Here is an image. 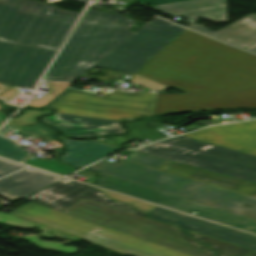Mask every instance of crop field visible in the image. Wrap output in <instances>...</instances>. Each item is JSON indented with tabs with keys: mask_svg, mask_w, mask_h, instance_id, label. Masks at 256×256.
<instances>
[{
	"mask_svg": "<svg viewBox=\"0 0 256 256\" xmlns=\"http://www.w3.org/2000/svg\"><path fill=\"white\" fill-rule=\"evenodd\" d=\"M170 16L188 18V28L223 40L225 42L246 47L256 42V14L253 13L217 32L207 30L204 25L193 22L199 17L222 22L227 21L226 0H191L179 3L157 5L150 7Z\"/></svg>",
	"mask_w": 256,
	"mask_h": 256,
	"instance_id": "obj_7",
	"label": "crop field"
},
{
	"mask_svg": "<svg viewBox=\"0 0 256 256\" xmlns=\"http://www.w3.org/2000/svg\"><path fill=\"white\" fill-rule=\"evenodd\" d=\"M57 137L66 147L65 154L60 160L75 167H84L120 149L94 141H71L61 135Z\"/></svg>",
	"mask_w": 256,
	"mask_h": 256,
	"instance_id": "obj_19",
	"label": "crop field"
},
{
	"mask_svg": "<svg viewBox=\"0 0 256 256\" xmlns=\"http://www.w3.org/2000/svg\"><path fill=\"white\" fill-rule=\"evenodd\" d=\"M94 141H98V142H102V143L109 144V145H112V146L120 147V146H118L117 144H115L110 138H107V139H98V140H94ZM120 148H121V147H120Z\"/></svg>",
	"mask_w": 256,
	"mask_h": 256,
	"instance_id": "obj_35",
	"label": "crop field"
},
{
	"mask_svg": "<svg viewBox=\"0 0 256 256\" xmlns=\"http://www.w3.org/2000/svg\"><path fill=\"white\" fill-rule=\"evenodd\" d=\"M137 75L187 94H157L154 114L256 108V55L187 30Z\"/></svg>",
	"mask_w": 256,
	"mask_h": 256,
	"instance_id": "obj_1",
	"label": "crop field"
},
{
	"mask_svg": "<svg viewBox=\"0 0 256 256\" xmlns=\"http://www.w3.org/2000/svg\"><path fill=\"white\" fill-rule=\"evenodd\" d=\"M25 164L32 165L38 168H42L48 171H52L61 175H68L76 169L60 163L56 160L37 159L32 157L31 159L24 162Z\"/></svg>",
	"mask_w": 256,
	"mask_h": 256,
	"instance_id": "obj_25",
	"label": "crop field"
},
{
	"mask_svg": "<svg viewBox=\"0 0 256 256\" xmlns=\"http://www.w3.org/2000/svg\"><path fill=\"white\" fill-rule=\"evenodd\" d=\"M158 169L256 197V184L166 161Z\"/></svg>",
	"mask_w": 256,
	"mask_h": 256,
	"instance_id": "obj_18",
	"label": "crop field"
},
{
	"mask_svg": "<svg viewBox=\"0 0 256 256\" xmlns=\"http://www.w3.org/2000/svg\"><path fill=\"white\" fill-rule=\"evenodd\" d=\"M62 178L27 168L0 179V196L14 202Z\"/></svg>",
	"mask_w": 256,
	"mask_h": 256,
	"instance_id": "obj_17",
	"label": "crop field"
},
{
	"mask_svg": "<svg viewBox=\"0 0 256 256\" xmlns=\"http://www.w3.org/2000/svg\"><path fill=\"white\" fill-rule=\"evenodd\" d=\"M96 186L171 207L189 214H193L191 212L195 211L198 212L196 216L241 230L256 233V220L235 215L194 201L176 197L103 174L98 173Z\"/></svg>",
	"mask_w": 256,
	"mask_h": 256,
	"instance_id": "obj_9",
	"label": "crop field"
},
{
	"mask_svg": "<svg viewBox=\"0 0 256 256\" xmlns=\"http://www.w3.org/2000/svg\"><path fill=\"white\" fill-rule=\"evenodd\" d=\"M86 169L120 178L177 196H184L205 185L186 178L119 161L115 164L102 160Z\"/></svg>",
	"mask_w": 256,
	"mask_h": 256,
	"instance_id": "obj_10",
	"label": "crop field"
},
{
	"mask_svg": "<svg viewBox=\"0 0 256 256\" xmlns=\"http://www.w3.org/2000/svg\"><path fill=\"white\" fill-rule=\"evenodd\" d=\"M206 205L226 210L245 217L256 219V199L235 194L211 186H203L184 196ZM242 203L255 206L253 209L241 206Z\"/></svg>",
	"mask_w": 256,
	"mask_h": 256,
	"instance_id": "obj_16",
	"label": "crop field"
},
{
	"mask_svg": "<svg viewBox=\"0 0 256 256\" xmlns=\"http://www.w3.org/2000/svg\"><path fill=\"white\" fill-rule=\"evenodd\" d=\"M47 112H49V111L25 110L21 116H19L17 118H12L7 123V125L35 124L36 123L35 117L39 114H43V113H47ZM41 126H43V125H41Z\"/></svg>",
	"mask_w": 256,
	"mask_h": 256,
	"instance_id": "obj_29",
	"label": "crop field"
},
{
	"mask_svg": "<svg viewBox=\"0 0 256 256\" xmlns=\"http://www.w3.org/2000/svg\"><path fill=\"white\" fill-rule=\"evenodd\" d=\"M130 81L136 83V84H139V85H142V86H145L149 89H153V90H164L166 88H168L167 86L165 85H162L160 83H157V82H154L152 80H149V79H146V78H143V77H140V76H137V75H134Z\"/></svg>",
	"mask_w": 256,
	"mask_h": 256,
	"instance_id": "obj_31",
	"label": "crop field"
},
{
	"mask_svg": "<svg viewBox=\"0 0 256 256\" xmlns=\"http://www.w3.org/2000/svg\"><path fill=\"white\" fill-rule=\"evenodd\" d=\"M0 222L7 224V225H11L17 228H20L22 230L28 229L34 225H36L40 230H42L41 234H27L25 236H22L20 238L27 240L31 243H33L34 245H36L37 247L40 248H46V249H52V250H57V251H61V252H67V253H74L77 252V248L76 246L73 247H64L62 246L63 243H68L71 242L73 240L79 241L81 239L48 229L46 227L40 226L38 224L26 221L24 219L3 213L0 211ZM39 235H43L45 238H49V237H56V238H69L70 240L65 241V242H60V243H55V242H50V241H40L38 239Z\"/></svg>",
	"mask_w": 256,
	"mask_h": 256,
	"instance_id": "obj_20",
	"label": "crop field"
},
{
	"mask_svg": "<svg viewBox=\"0 0 256 256\" xmlns=\"http://www.w3.org/2000/svg\"><path fill=\"white\" fill-rule=\"evenodd\" d=\"M125 160L137 162V163L155 167V168H158L161 164H163L166 161V160H162V159H158V158H154V157H150V156H146L138 153L132 154L130 157H128Z\"/></svg>",
	"mask_w": 256,
	"mask_h": 256,
	"instance_id": "obj_30",
	"label": "crop field"
},
{
	"mask_svg": "<svg viewBox=\"0 0 256 256\" xmlns=\"http://www.w3.org/2000/svg\"><path fill=\"white\" fill-rule=\"evenodd\" d=\"M63 213L194 256H214L210 248L196 243L179 228L85 199L79 200Z\"/></svg>",
	"mask_w": 256,
	"mask_h": 256,
	"instance_id": "obj_4",
	"label": "crop field"
},
{
	"mask_svg": "<svg viewBox=\"0 0 256 256\" xmlns=\"http://www.w3.org/2000/svg\"><path fill=\"white\" fill-rule=\"evenodd\" d=\"M97 189L102 191L103 193H105L111 199L121 201V202H124V203H127V204H133L136 209H139L141 211H145L147 213L155 207L154 205L146 204V203L141 202V201L136 200V199L128 198V197L118 195V194H115V193H112V192H109V191H105V190H102V189H99V188H97Z\"/></svg>",
	"mask_w": 256,
	"mask_h": 256,
	"instance_id": "obj_28",
	"label": "crop field"
},
{
	"mask_svg": "<svg viewBox=\"0 0 256 256\" xmlns=\"http://www.w3.org/2000/svg\"><path fill=\"white\" fill-rule=\"evenodd\" d=\"M0 156L19 162L28 157V154L21 152L12 141L0 136Z\"/></svg>",
	"mask_w": 256,
	"mask_h": 256,
	"instance_id": "obj_27",
	"label": "crop field"
},
{
	"mask_svg": "<svg viewBox=\"0 0 256 256\" xmlns=\"http://www.w3.org/2000/svg\"><path fill=\"white\" fill-rule=\"evenodd\" d=\"M156 94L125 93L115 90L103 97L71 88L51 107L58 112L82 117L102 119H127L152 116Z\"/></svg>",
	"mask_w": 256,
	"mask_h": 256,
	"instance_id": "obj_6",
	"label": "crop field"
},
{
	"mask_svg": "<svg viewBox=\"0 0 256 256\" xmlns=\"http://www.w3.org/2000/svg\"><path fill=\"white\" fill-rule=\"evenodd\" d=\"M148 216L196 233L207 235L252 250H256V236L227 227L195 219L177 212L156 206Z\"/></svg>",
	"mask_w": 256,
	"mask_h": 256,
	"instance_id": "obj_13",
	"label": "crop field"
},
{
	"mask_svg": "<svg viewBox=\"0 0 256 256\" xmlns=\"http://www.w3.org/2000/svg\"><path fill=\"white\" fill-rule=\"evenodd\" d=\"M133 151L256 183L255 167L162 142L151 144Z\"/></svg>",
	"mask_w": 256,
	"mask_h": 256,
	"instance_id": "obj_11",
	"label": "crop field"
},
{
	"mask_svg": "<svg viewBox=\"0 0 256 256\" xmlns=\"http://www.w3.org/2000/svg\"><path fill=\"white\" fill-rule=\"evenodd\" d=\"M72 83H59V82H46V86L48 89H51L48 94L41 96L39 99H33L26 106H36L43 107L57 95H59L62 91H64L69 85Z\"/></svg>",
	"mask_w": 256,
	"mask_h": 256,
	"instance_id": "obj_26",
	"label": "crop field"
},
{
	"mask_svg": "<svg viewBox=\"0 0 256 256\" xmlns=\"http://www.w3.org/2000/svg\"><path fill=\"white\" fill-rule=\"evenodd\" d=\"M140 1L152 6L157 4L172 3V2H178V1H184V0H140Z\"/></svg>",
	"mask_w": 256,
	"mask_h": 256,
	"instance_id": "obj_34",
	"label": "crop field"
},
{
	"mask_svg": "<svg viewBox=\"0 0 256 256\" xmlns=\"http://www.w3.org/2000/svg\"><path fill=\"white\" fill-rule=\"evenodd\" d=\"M48 228L118 251L139 256H191L30 202L9 213Z\"/></svg>",
	"mask_w": 256,
	"mask_h": 256,
	"instance_id": "obj_5",
	"label": "crop field"
},
{
	"mask_svg": "<svg viewBox=\"0 0 256 256\" xmlns=\"http://www.w3.org/2000/svg\"><path fill=\"white\" fill-rule=\"evenodd\" d=\"M19 92H16L14 88L7 87V86H1L0 85V98L9 101L14 96H16Z\"/></svg>",
	"mask_w": 256,
	"mask_h": 256,
	"instance_id": "obj_33",
	"label": "crop field"
},
{
	"mask_svg": "<svg viewBox=\"0 0 256 256\" xmlns=\"http://www.w3.org/2000/svg\"><path fill=\"white\" fill-rule=\"evenodd\" d=\"M245 49H248L250 51L256 52V43H254L253 45H251V46H249V47H247Z\"/></svg>",
	"mask_w": 256,
	"mask_h": 256,
	"instance_id": "obj_36",
	"label": "crop field"
},
{
	"mask_svg": "<svg viewBox=\"0 0 256 256\" xmlns=\"http://www.w3.org/2000/svg\"><path fill=\"white\" fill-rule=\"evenodd\" d=\"M81 198L92 200L137 215H145V213L135 211L131 206L124 203L110 200L100 192L92 189L90 186L73 180L70 183L58 181L23 199L61 212Z\"/></svg>",
	"mask_w": 256,
	"mask_h": 256,
	"instance_id": "obj_12",
	"label": "crop field"
},
{
	"mask_svg": "<svg viewBox=\"0 0 256 256\" xmlns=\"http://www.w3.org/2000/svg\"><path fill=\"white\" fill-rule=\"evenodd\" d=\"M184 231L192 235L197 241H200L213 248L217 252V256H246L252 251L237 245L196 234L190 231Z\"/></svg>",
	"mask_w": 256,
	"mask_h": 256,
	"instance_id": "obj_22",
	"label": "crop field"
},
{
	"mask_svg": "<svg viewBox=\"0 0 256 256\" xmlns=\"http://www.w3.org/2000/svg\"><path fill=\"white\" fill-rule=\"evenodd\" d=\"M183 30L155 17L95 66L135 73Z\"/></svg>",
	"mask_w": 256,
	"mask_h": 256,
	"instance_id": "obj_8",
	"label": "crop field"
},
{
	"mask_svg": "<svg viewBox=\"0 0 256 256\" xmlns=\"http://www.w3.org/2000/svg\"><path fill=\"white\" fill-rule=\"evenodd\" d=\"M252 88H254V87H252ZM248 89H250V88H248ZM235 92H238V91H235Z\"/></svg>",
	"mask_w": 256,
	"mask_h": 256,
	"instance_id": "obj_39",
	"label": "crop field"
},
{
	"mask_svg": "<svg viewBox=\"0 0 256 256\" xmlns=\"http://www.w3.org/2000/svg\"><path fill=\"white\" fill-rule=\"evenodd\" d=\"M163 142L256 167V156L197 141L194 139L179 136L176 138L164 140Z\"/></svg>",
	"mask_w": 256,
	"mask_h": 256,
	"instance_id": "obj_21",
	"label": "crop field"
},
{
	"mask_svg": "<svg viewBox=\"0 0 256 256\" xmlns=\"http://www.w3.org/2000/svg\"><path fill=\"white\" fill-rule=\"evenodd\" d=\"M133 23L119 14L87 10L44 79L75 81L134 34L127 31Z\"/></svg>",
	"mask_w": 256,
	"mask_h": 256,
	"instance_id": "obj_3",
	"label": "crop field"
},
{
	"mask_svg": "<svg viewBox=\"0 0 256 256\" xmlns=\"http://www.w3.org/2000/svg\"><path fill=\"white\" fill-rule=\"evenodd\" d=\"M9 131H15L18 133H24L29 136H36L45 139V141H54L52 137L54 132L51 129L40 127L38 125H23V126H5L0 130V134L3 135Z\"/></svg>",
	"mask_w": 256,
	"mask_h": 256,
	"instance_id": "obj_24",
	"label": "crop field"
},
{
	"mask_svg": "<svg viewBox=\"0 0 256 256\" xmlns=\"http://www.w3.org/2000/svg\"><path fill=\"white\" fill-rule=\"evenodd\" d=\"M1 109V108H0Z\"/></svg>",
	"mask_w": 256,
	"mask_h": 256,
	"instance_id": "obj_40",
	"label": "crop field"
},
{
	"mask_svg": "<svg viewBox=\"0 0 256 256\" xmlns=\"http://www.w3.org/2000/svg\"><path fill=\"white\" fill-rule=\"evenodd\" d=\"M78 16L32 0H0V82L33 89L55 52L22 44L58 49Z\"/></svg>",
	"mask_w": 256,
	"mask_h": 256,
	"instance_id": "obj_2",
	"label": "crop field"
},
{
	"mask_svg": "<svg viewBox=\"0 0 256 256\" xmlns=\"http://www.w3.org/2000/svg\"><path fill=\"white\" fill-rule=\"evenodd\" d=\"M25 45H29V44H25ZM30 46H34V45H30ZM35 47H39V46H35ZM40 48H44V49H49V50L57 51V50H55V49H50V48H45V47H40Z\"/></svg>",
	"mask_w": 256,
	"mask_h": 256,
	"instance_id": "obj_38",
	"label": "crop field"
},
{
	"mask_svg": "<svg viewBox=\"0 0 256 256\" xmlns=\"http://www.w3.org/2000/svg\"><path fill=\"white\" fill-rule=\"evenodd\" d=\"M125 124L131 128L129 134L125 136L113 138L121 145L130 142L131 139L144 140L148 138L154 141L156 139L162 138V136H160L159 134L155 133L154 131H152L151 129L147 128L146 126L142 125L137 121L129 122Z\"/></svg>",
	"mask_w": 256,
	"mask_h": 256,
	"instance_id": "obj_23",
	"label": "crop field"
},
{
	"mask_svg": "<svg viewBox=\"0 0 256 256\" xmlns=\"http://www.w3.org/2000/svg\"><path fill=\"white\" fill-rule=\"evenodd\" d=\"M65 92H63L61 95H63ZM61 95L54 99L50 104L57 100ZM50 104H48L47 107ZM42 120L56 126L68 136L73 137H94L104 134L124 132V129L121 127L118 121L82 118L60 114L57 113V111L55 115L45 116L42 118Z\"/></svg>",
	"mask_w": 256,
	"mask_h": 256,
	"instance_id": "obj_15",
	"label": "crop field"
},
{
	"mask_svg": "<svg viewBox=\"0 0 256 256\" xmlns=\"http://www.w3.org/2000/svg\"><path fill=\"white\" fill-rule=\"evenodd\" d=\"M22 167H24V166L10 162V161L0 159V177L4 176L6 174H9L15 170H18Z\"/></svg>",
	"mask_w": 256,
	"mask_h": 256,
	"instance_id": "obj_32",
	"label": "crop field"
},
{
	"mask_svg": "<svg viewBox=\"0 0 256 256\" xmlns=\"http://www.w3.org/2000/svg\"><path fill=\"white\" fill-rule=\"evenodd\" d=\"M182 136L256 155V120L209 127Z\"/></svg>",
	"mask_w": 256,
	"mask_h": 256,
	"instance_id": "obj_14",
	"label": "crop field"
},
{
	"mask_svg": "<svg viewBox=\"0 0 256 256\" xmlns=\"http://www.w3.org/2000/svg\"><path fill=\"white\" fill-rule=\"evenodd\" d=\"M3 111V110H2ZM7 117H5L3 114H2V112H1V110H0V126L2 125V123L4 122V120L6 119Z\"/></svg>",
	"mask_w": 256,
	"mask_h": 256,
	"instance_id": "obj_37",
	"label": "crop field"
}]
</instances>
